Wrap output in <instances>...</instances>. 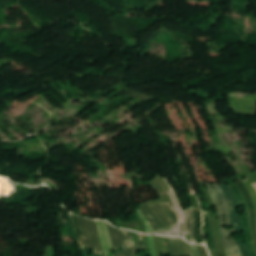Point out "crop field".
<instances>
[{
  "mask_svg": "<svg viewBox=\"0 0 256 256\" xmlns=\"http://www.w3.org/2000/svg\"><path fill=\"white\" fill-rule=\"evenodd\" d=\"M152 208H153L155 214L159 217V219L164 223V225L166 227L178 222L172 204H169V203L158 204V205H153ZM152 208L148 202L142 204L140 207V209L145 214L148 221L151 223L154 231H156L161 228H164L165 226L154 214ZM167 230L170 233V235H172V236H180L179 223L167 227ZM167 230L164 228V229L154 232V234L169 235Z\"/></svg>",
  "mask_w": 256,
  "mask_h": 256,
  "instance_id": "1",
  "label": "crop field"
},
{
  "mask_svg": "<svg viewBox=\"0 0 256 256\" xmlns=\"http://www.w3.org/2000/svg\"><path fill=\"white\" fill-rule=\"evenodd\" d=\"M207 188H208V191L215 203V206H216V209L218 211V215H219V229H220V232H221V236H222V241H223V246H224V249H225V252H226V255L229 256V255H233V251H232V248H231V245L229 243V240H228V237H227V230L223 229L222 228V223H223V207L222 205L220 204V201H219V198L217 197L216 195V192L213 188L212 185L210 184H207L205 183Z\"/></svg>",
  "mask_w": 256,
  "mask_h": 256,
  "instance_id": "2",
  "label": "crop field"
},
{
  "mask_svg": "<svg viewBox=\"0 0 256 256\" xmlns=\"http://www.w3.org/2000/svg\"><path fill=\"white\" fill-rule=\"evenodd\" d=\"M229 186L232 189V191L234 192L238 202L245 203L244 197H243L241 191L239 190V188L237 187L236 183L230 184ZM245 207H246V205H245ZM241 222H242V231H244V233H245V238H246V241H247L246 245L249 249L250 256H256V251H255V248H254V246L251 242V237H250V230H249L248 217H247V209H245L244 216L241 217Z\"/></svg>",
  "mask_w": 256,
  "mask_h": 256,
  "instance_id": "3",
  "label": "crop field"
},
{
  "mask_svg": "<svg viewBox=\"0 0 256 256\" xmlns=\"http://www.w3.org/2000/svg\"><path fill=\"white\" fill-rule=\"evenodd\" d=\"M223 206H224V215H225V225H229V222H230V212H229V203L226 199V196L222 190V188L220 187L219 184H216V185H213ZM234 232V229H230L229 227V236H230V242H231V245H232V248H233V251L235 254H238V253H241L240 250H239V247L238 245L236 244V240H234L232 237H231V233Z\"/></svg>",
  "mask_w": 256,
  "mask_h": 256,
  "instance_id": "4",
  "label": "crop field"
},
{
  "mask_svg": "<svg viewBox=\"0 0 256 256\" xmlns=\"http://www.w3.org/2000/svg\"><path fill=\"white\" fill-rule=\"evenodd\" d=\"M236 183L239 186L240 190L242 191V193L245 197L246 203L248 205V209H249V213H250L251 231H252L253 239H254V242L256 245V218H255V210H254L253 201H252L250 193L248 192L247 188L244 186L241 178Z\"/></svg>",
  "mask_w": 256,
  "mask_h": 256,
  "instance_id": "5",
  "label": "crop field"
},
{
  "mask_svg": "<svg viewBox=\"0 0 256 256\" xmlns=\"http://www.w3.org/2000/svg\"><path fill=\"white\" fill-rule=\"evenodd\" d=\"M221 186L224 189V191L229 199L230 205L233 207V209L231 211V225L233 227H235V232L241 231V226H240V221H239V213L235 207L237 204L236 198L228 185L221 184Z\"/></svg>",
  "mask_w": 256,
  "mask_h": 256,
  "instance_id": "6",
  "label": "crop field"
},
{
  "mask_svg": "<svg viewBox=\"0 0 256 256\" xmlns=\"http://www.w3.org/2000/svg\"><path fill=\"white\" fill-rule=\"evenodd\" d=\"M170 256H187L181 238L165 237Z\"/></svg>",
  "mask_w": 256,
  "mask_h": 256,
  "instance_id": "7",
  "label": "crop field"
},
{
  "mask_svg": "<svg viewBox=\"0 0 256 256\" xmlns=\"http://www.w3.org/2000/svg\"><path fill=\"white\" fill-rule=\"evenodd\" d=\"M120 231V237H121V243L122 247L124 248V252L126 256H134V242L130 231L127 230H121Z\"/></svg>",
  "mask_w": 256,
  "mask_h": 256,
  "instance_id": "8",
  "label": "crop field"
},
{
  "mask_svg": "<svg viewBox=\"0 0 256 256\" xmlns=\"http://www.w3.org/2000/svg\"><path fill=\"white\" fill-rule=\"evenodd\" d=\"M95 222H96L98 232H99V236H100V239H101L103 252L106 256H109L108 251H112V248H111V242H110V236H109L107 224H106V222H102V226H103L105 237H106L108 251H107V248H106L105 237H104L103 229H102V226H101V222L100 221H95ZM110 256H114V255H110Z\"/></svg>",
  "mask_w": 256,
  "mask_h": 256,
  "instance_id": "9",
  "label": "crop field"
},
{
  "mask_svg": "<svg viewBox=\"0 0 256 256\" xmlns=\"http://www.w3.org/2000/svg\"><path fill=\"white\" fill-rule=\"evenodd\" d=\"M203 220H204V235L209 234V240L206 241L208 245V249L209 250L215 249L213 238H212L211 221L207 212L203 213Z\"/></svg>",
  "mask_w": 256,
  "mask_h": 256,
  "instance_id": "10",
  "label": "crop field"
},
{
  "mask_svg": "<svg viewBox=\"0 0 256 256\" xmlns=\"http://www.w3.org/2000/svg\"><path fill=\"white\" fill-rule=\"evenodd\" d=\"M193 210H194V217H195L196 240H197V243H203L202 232H201V226H202L201 211L199 209H196V208H193Z\"/></svg>",
  "mask_w": 256,
  "mask_h": 256,
  "instance_id": "11",
  "label": "crop field"
},
{
  "mask_svg": "<svg viewBox=\"0 0 256 256\" xmlns=\"http://www.w3.org/2000/svg\"><path fill=\"white\" fill-rule=\"evenodd\" d=\"M184 214L186 218L187 231L191 235L193 242L196 243L195 234H194V219H193L192 208L184 211Z\"/></svg>",
  "mask_w": 256,
  "mask_h": 256,
  "instance_id": "12",
  "label": "crop field"
},
{
  "mask_svg": "<svg viewBox=\"0 0 256 256\" xmlns=\"http://www.w3.org/2000/svg\"><path fill=\"white\" fill-rule=\"evenodd\" d=\"M108 227L111 235L112 247H113V250H115L120 247L119 231L117 228H113L109 223H108Z\"/></svg>",
  "mask_w": 256,
  "mask_h": 256,
  "instance_id": "13",
  "label": "crop field"
},
{
  "mask_svg": "<svg viewBox=\"0 0 256 256\" xmlns=\"http://www.w3.org/2000/svg\"><path fill=\"white\" fill-rule=\"evenodd\" d=\"M174 209L176 211L177 217H178L180 225H181V236L184 237L187 240V238H186V228H185V222H184L182 210H181V208L175 207V206H174Z\"/></svg>",
  "mask_w": 256,
  "mask_h": 256,
  "instance_id": "14",
  "label": "crop field"
},
{
  "mask_svg": "<svg viewBox=\"0 0 256 256\" xmlns=\"http://www.w3.org/2000/svg\"><path fill=\"white\" fill-rule=\"evenodd\" d=\"M70 215H71L72 221L74 223L75 232H76V235H77V237L79 239L80 246H81L82 249H84L86 247H85L84 242H83V238H82V235H81L79 224H78V222L76 220V216L73 215L72 213H70Z\"/></svg>",
  "mask_w": 256,
  "mask_h": 256,
  "instance_id": "15",
  "label": "crop field"
},
{
  "mask_svg": "<svg viewBox=\"0 0 256 256\" xmlns=\"http://www.w3.org/2000/svg\"><path fill=\"white\" fill-rule=\"evenodd\" d=\"M163 180L165 181V183L167 184V186L169 188V192H170V195L172 197L173 204L177 205V206H181L180 202H179V199H178V196H177V193L174 190L171 182L169 180H167V179H163Z\"/></svg>",
  "mask_w": 256,
  "mask_h": 256,
  "instance_id": "16",
  "label": "crop field"
},
{
  "mask_svg": "<svg viewBox=\"0 0 256 256\" xmlns=\"http://www.w3.org/2000/svg\"><path fill=\"white\" fill-rule=\"evenodd\" d=\"M90 224H91V227H92L95 239H96L98 254H102L103 252H102V249H101V244H100V240H99V236H98V232H97V228H96L95 222L94 221H90Z\"/></svg>",
  "mask_w": 256,
  "mask_h": 256,
  "instance_id": "17",
  "label": "crop field"
},
{
  "mask_svg": "<svg viewBox=\"0 0 256 256\" xmlns=\"http://www.w3.org/2000/svg\"><path fill=\"white\" fill-rule=\"evenodd\" d=\"M77 218H78V221L80 223V227H81V231H82V234H83V238H84V240L86 242V245L89 246V245H91V243H90V240L88 238V234H87L84 222H83L82 218H80L78 216H77Z\"/></svg>",
  "mask_w": 256,
  "mask_h": 256,
  "instance_id": "18",
  "label": "crop field"
},
{
  "mask_svg": "<svg viewBox=\"0 0 256 256\" xmlns=\"http://www.w3.org/2000/svg\"><path fill=\"white\" fill-rule=\"evenodd\" d=\"M84 222H85L87 230H88V234H89L92 246H93L94 253L97 254V250H96V246H95V239H94V236H93V233H92L89 221L84 218Z\"/></svg>",
  "mask_w": 256,
  "mask_h": 256,
  "instance_id": "19",
  "label": "crop field"
},
{
  "mask_svg": "<svg viewBox=\"0 0 256 256\" xmlns=\"http://www.w3.org/2000/svg\"><path fill=\"white\" fill-rule=\"evenodd\" d=\"M136 213L138 214V216L140 217V219L142 220V222L144 223L145 227H146V231L147 233H153V229L150 226V224L148 223L147 219L143 216L142 212L140 210H137Z\"/></svg>",
  "mask_w": 256,
  "mask_h": 256,
  "instance_id": "20",
  "label": "crop field"
},
{
  "mask_svg": "<svg viewBox=\"0 0 256 256\" xmlns=\"http://www.w3.org/2000/svg\"><path fill=\"white\" fill-rule=\"evenodd\" d=\"M244 183H245L246 187L249 189L250 193H251L252 196H253L254 205H255V210H256V191H255L254 187L251 185L249 179H248L246 182H244Z\"/></svg>",
  "mask_w": 256,
  "mask_h": 256,
  "instance_id": "21",
  "label": "crop field"
},
{
  "mask_svg": "<svg viewBox=\"0 0 256 256\" xmlns=\"http://www.w3.org/2000/svg\"><path fill=\"white\" fill-rule=\"evenodd\" d=\"M237 243H238V245H239V247H240V250H241V252H242V255H243V256H249V253H248V250H247V248H246V246H245V243L242 242V241H239V240H237Z\"/></svg>",
  "mask_w": 256,
  "mask_h": 256,
  "instance_id": "22",
  "label": "crop field"
},
{
  "mask_svg": "<svg viewBox=\"0 0 256 256\" xmlns=\"http://www.w3.org/2000/svg\"><path fill=\"white\" fill-rule=\"evenodd\" d=\"M148 242H149V247H150V250H151V255L156 256L155 249H154V244H153V239H152L151 235H148Z\"/></svg>",
  "mask_w": 256,
  "mask_h": 256,
  "instance_id": "23",
  "label": "crop field"
},
{
  "mask_svg": "<svg viewBox=\"0 0 256 256\" xmlns=\"http://www.w3.org/2000/svg\"><path fill=\"white\" fill-rule=\"evenodd\" d=\"M190 249H191V253H192L191 256H200L199 252H198L197 245H190Z\"/></svg>",
  "mask_w": 256,
  "mask_h": 256,
  "instance_id": "24",
  "label": "crop field"
},
{
  "mask_svg": "<svg viewBox=\"0 0 256 256\" xmlns=\"http://www.w3.org/2000/svg\"><path fill=\"white\" fill-rule=\"evenodd\" d=\"M198 247H199V252L201 256H209L205 246L198 245Z\"/></svg>",
  "mask_w": 256,
  "mask_h": 256,
  "instance_id": "25",
  "label": "crop field"
},
{
  "mask_svg": "<svg viewBox=\"0 0 256 256\" xmlns=\"http://www.w3.org/2000/svg\"><path fill=\"white\" fill-rule=\"evenodd\" d=\"M136 234H137V240H138L139 249H144L142 235L137 233V232H136Z\"/></svg>",
  "mask_w": 256,
  "mask_h": 256,
  "instance_id": "26",
  "label": "crop field"
},
{
  "mask_svg": "<svg viewBox=\"0 0 256 256\" xmlns=\"http://www.w3.org/2000/svg\"><path fill=\"white\" fill-rule=\"evenodd\" d=\"M115 256H124V253H123V251H121V252L116 253Z\"/></svg>",
  "mask_w": 256,
  "mask_h": 256,
  "instance_id": "27",
  "label": "crop field"
},
{
  "mask_svg": "<svg viewBox=\"0 0 256 256\" xmlns=\"http://www.w3.org/2000/svg\"><path fill=\"white\" fill-rule=\"evenodd\" d=\"M137 251H138V246L137 244H135V256H138Z\"/></svg>",
  "mask_w": 256,
  "mask_h": 256,
  "instance_id": "28",
  "label": "crop field"
}]
</instances>
